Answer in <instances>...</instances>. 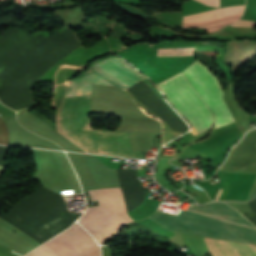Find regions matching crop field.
<instances>
[{
    "label": "crop field",
    "instance_id": "7",
    "mask_svg": "<svg viewBox=\"0 0 256 256\" xmlns=\"http://www.w3.org/2000/svg\"><path fill=\"white\" fill-rule=\"evenodd\" d=\"M244 8H226L183 17L182 28H204L207 32L221 29L241 17Z\"/></svg>",
    "mask_w": 256,
    "mask_h": 256
},
{
    "label": "crop field",
    "instance_id": "2",
    "mask_svg": "<svg viewBox=\"0 0 256 256\" xmlns=\"http://www.w3.org/2000/svg\"><path fill=\"white\" fill-rule=\"evenodd\" d=\"M92 202L100 207L88 208L79 223L102 244L115 235L126 223L132 222L125 210L120 188L87 191Z\"/></svg>",
    "mask_w": 256,
    "mask_h": 256
},
{
    "label": "crop field",
    "instance_id": "6",
    "mask_svg": "<svg viewBox=\"0 0 256 256\" xmlns=\"http://www.w3.org/2000/svg\"><path fill=\"white\" fill-rule=\"evenodd\" d=\"M44 245L56 256H100L96 242L78 223ZM44 245L26 256H55Z\"/></svg>",
    "mask_w": 256,
    "mask_h": 256
},
{
    "label": "crop field",
    "instance_id": "13",
    "mask_svg": "<svg viewBox=\"0 0 256 256\" xmlns=\"http://www.w3.org/2000/svg\"><path fill=\"white\" fill-rule=\"evenodd\" d=\"M8 148L9 147H2V146H0V165L4 166V167H5L4 159H5V156L7 154ZM1 166H0V174H2L4 169H5L4 167H1Z\"/></svg>",
    "mask_w": 256,
    "mask_h": 256
},
{
    "label": "crop field",
    "instance_id": "8",
    "mask_svg": "<svg viewBox=\"0 0 256 256\" xmlns=\"http://www.w3.org/2000/svg\"><path fill=\"white\" fill-rule=\"evenodd\" d=\"M256 179V173L226 171L214 200L247 201Z\"/></svg>",
    "mask_w": 256,
    "mask_h": 256
},
{
    "label": "crop field",
    "instance_id": "15",
    "mask_svg": "<svg viewBox=\"0 0 256 256\" xmlns=\"http://www.w3.org/2000/svg\"><path fill=\"white\" fill-rule=\"evenodd\" d=\"M206 5L214 6L219 8V0H196Z\"/></svg>",
    "mask_w": 256,
    "mask_h": 256
},
{
    "label": "crop field",
    "instance_id": "5",
    "mask_svg": "<svg viewBox=\"0 0 256 256\" xmlns=\"http://www.w3.org/2000/svg\"><path fill=\"white\" fill-rule=\"evenodd\" d=\"M198 61H195L183 73L207 106L215 114V128L234 122V119L222 98L223 89L220 81Z\"/></svg>",
    "mask_w": 256,
    "mask_h": 256
},
{
    "label": "crop field",
    "instance_id": "11",
    "mask_svg": "<svg viewBox=\"0 0 256 256\" xmlns=\"http://www.w3.org/2000/svg\"><path fill=\"white\" fill-rule=\"evenodd\" d=\"M194 48H163L158 52H175V51H194ZM176 55H193V52H176V53H158L157 56H176Z\"/></svg>",
    "mask_w": 256,
    "mask_h": 256
},
{
    "label": "crop field",
    "instance_id": "4",
    "mask_svg": "<svg viewBox=\"0 0 256 256\" xmlns=\"http://www.w3.org/2000/svg\"><path fill=\"white\" fill-rule=\"evenodd\" d=\"M158 85L167 100L190 122L196 133L211 126L213 121L211 111L181 72Z\"/></svg>",
    "mask_w": 256,
    "mask_h": 256
},
{
    "label": "crop field",
    "instance_id": "10",
    "mask_svg": "<svg viewBox=\"0 0 256 256\" xmlns=\"http://www.w3.org/2000/svg\"><path fill=\"white\" fill-rule=\"evenodd\" d=\"M203 238L212 256H256V245Z\"/></svg>",
    "mask_w": 256,
    "mask_h": 256
},
{
    "label": "crop field",
    "instance_id": "1",
    "mask_svg": "<svg viewBox=\"0 0 256 256\" xmlns=\"http://www.w3.org/2000/svg\"><path fill=\"white\" fill-rule=\"evenodd\" d=\"M169 230L256 243V228L223 202L192 205L172 216L156 211L148 217Z\"/></svg>",
    "mask_w": 256,
    "mask_h": 256
},
{
    "label": "crop field",
    "instance_id": "12",
    "mask_svg": "<svg viewBox=\"0 0 256 256\" xmlns=\"http://www.w3.org/2000/svg\"><path fill=\"white\" fill-rule=\"evenodd\" d=\"M0 144L9 145L8 131L3 119L0 118Z\"/></svg>",
    "mask_w": 256,
    "mask_h": 256
},
{
    "label": "crop field",
    "instance_id": "9",
    "mask_svg": "<svg viewBox=\"0 0 256 256\" xmlns=\"http://www.w3.org/2000/svg\"><path fill=\"white\" fill-rule=\"evenodd\" d=\"M218 170L256 171V129L244 136Z\"/></svg>",
    "mask_w": 256,
    "mask_h": 256
},
{
    "label": "crop field",
    "instance_id": "3",
    "mask_svg": "<svg viewBox=\"0 0 256 256\" xmlns=\"http://www.w3.org/2000/svg\"><path fill=\"white\" fill-rule=\"evenodd\" d=\"M93 70L96 73H98L100 76H102V77L110 80L111 82L115 83L116 85L120 86L124 91L129 89L130 87L136 85L137 83L141 82L142 80L146 79V77H144L142 74L138 73L127 62L123 61L122 59H120L118 57H113V58H109V59L97 62L94 65ZM95 72L93 74H90V75L81 77L77 80L71 81L72 87L69 91L68 97L80 96V95H85V94L91 93L92 84L116 86L113 83H111L110 81L100 77ZM144 81L164 101V99H163L162 95L159 93V91L147 79ZM125 92L134 99V101L137 103L138 106L148 110L152 114L159 117L154 111H152L147 105H145L140 99H138L139 97L137 98L133 93H131L132 91L130 92L129 90H127ZM167 105L178 115V113L169 104H167ZM159 118L162 119L161 117H159ZM183 122L188 127L187 123L184 120H183Z\"/></svg>",
    "mask_w": 256,
    "mask_h": 256
},
{
    "label": "crop field",
    "instance_id": "14",
    "mask_svg": "<svg viewBox=\"0 0 256 256\" xmlns=\"http://www.w3.org/2000/svg\"><path fill=\"white\" fill-rule=\"evenodd\" d=\"M256 22L248 21V20H238L237 22L231 24V26H254Z\"/></svg>",
    "mask_w": 256,
    "mask_h": 256
}]
</instances>
